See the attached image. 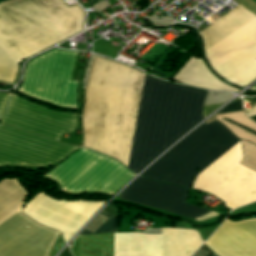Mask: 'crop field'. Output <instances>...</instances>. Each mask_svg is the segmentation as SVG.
<instances>
[{"label":"crop field","instance_id":"obj_1","mask_svg":"<svg viewBox=\"0 0 256 256\" xmlns=\"http://www.w3.org/2000/svg\"><path fill=\"white\" fill-rule=\"evenodd\" d=\"M143 74L94 57L82 114L85 147L126 164ZM208 92L144 74L126 167L137 173L204 119Z\"/></svg>","mask_w":256,"mask_h":256},{"label":"crop field","instance_id":"obj_2","mask_svg":"<svg viewBox=\"0 0 256 256\" xmlns=\"http://www.w3.org/2000/svg\"><path fill=\"white\" fill-rule=\"evenodd\" d=\"M236 139L218 121L202 124L141 176L189 188ZM241 160L237 139L192 187L217 196L230 210L255 202L256 172Z\"/></svg>","mask_w":256,"mask_h":256},{"label":"crop field","instance_id":"obj_3","mask_svg":"<svg viewBox=\"0 0 256 256\" xmlns=\"http://www.w3.org/2000/svg\"><path fill=\"white\" fill-rule=\"evenodd\" d=\"M84 12L64 0L0 3V82L14 83L20 61L82 30Z\"/></svg>","mask_w":256,"mask_h":256},{"label":"crop field","instance_id":"obj_4","mask_svg":"<svg viewBox=\"0 0 256 256\" xmlns=\"http://www.w3.org/2000/svg\"><path fill=\"white\" fill-rule=\"evenodd\" d=\"M254 16L237 6L199 32L205 49L221 40ZM211 67L229 82L245 86L256 79V18L205 50Z\"/></svg>","mask_w":256,"mask_h":256},{"label":"crop field","instance_id":"obj_5","mask_svg":"<svg viewBox=\"0 0 256 256\" xmlns=\"http://www.w3.org/2000/svg\"><path fill=\"white\" fill-rule=\"evenodd\" d=\"M25 196L15 180L0 181V223L21 209ZM58 234L30 220L20 210L0 224V256H48Z\"/></svg>","mask_w":256,"mask_h":256},{"label":"crop field","instance_id":"obj_6","mask_svg":"<svg viewBox=\"0 0 256 256\" xmlns=\"http://www.w3.org/2000/svg\"><path fill=\"white\" fill-rule=\"evenodd\" d=\"M45 176L59 182L63 191L112 195L135 175L117 161L81 148Z\"/></svg>","mask_w":256,"mask_h":256},{"label":"crop field","instance_id":"obj_7","mask_svg":"<svg viewBox=\"0 0 256 256\" xmlns=\"http://www.w3.org/2000/svg\"><path fill=\"white\" fill-rule=\"evenodd\" d=\"M76 53L56 49L30 61L19 92L56 106L76 109L77 81L70 80Z\"/></svg>","mask_w":256,"mask_h":256},{"label":"crop field","instance_id":"obj_8","mask_svg":"<svg viewBox=\"0 0 256 256\" xmlns=\"http://www.w3.org/2000/svg\"><path fill=\"white\" fill-rule=\"evenodd\" d=\"M162 234H193V250H185V256H191L202 244L198 233L194 230L162 229ZM117 236L143 237V253H130L142 252V238L130 237L129 245H118V251L130 252H117ZM80 237H110V256H113V233L93 236H78L74 241V245L71 246V251L74 256H80ZM184 249H192V235H173V248H163V256H184ZM132 254H157V256H162V235L114 233V256ZM81 256L109 255H101V238H81Z\"/></svg>","mask_w":256,"mask_h":256},{"label":"crop field","instance_id":"obj_9","mask_svg":"<svg viewBox=\"0 0 256 256\" xmlns=\"http://www.w3.org/2000/svg\"><path fill=\"white\" fill-rule=\"evenodd\" d=\"M78 149L0 124V166L53 165Z\"/></svg>","mask_w":256,"mask_h":256},{"label":"crop field","instance_id":"obj_10","mask_svg":"<svg viewBox=\"0 0 256 256\" xmlns=\"http://www.w3.org/2000/svg\"><path fill=\"white\" fill-rule=\"evenodd\" d=\"M0 122L59 139L76 127V115L56 112L13 95Z\"/></svg>","mask_w":256,"mask_h":256},{"label":"crop field","instance_id":"obj_11","mask_svg":"<svg viewBox=\"0 0 256 256\" xmlns=\"http://www.w3.org/2000/svg\"><path fill=\"white\" fill-rule=\"evenodd\" d=\"M187 190L156 183L139 177L119 196L140 205L165 209L199 221L218 215L211 211L185 203Z\"/></svg>","mask_w":256,"mask_h":256},{"label":"crop field","instance_id":"obj_12","mask_svg":"<svg viewBox=\"0 0 256 256\" xmlns=\"http://www.w3.org/2000/svg\"><path fill=\"white\" fill-rule=\"evenodd\" d=\"M43 199L50 201L52 203H55L64 208H67L69 210H72L74 212H77V213L84 215L88 218L91 215H93L96 212V210L100 206H102V204L104 203V202H83V201H57L54 199H50L44 192L37 193L33 197V199L22 209V212H24L29 217L35 219L37 222H39L45 226L59 230L62 233V237L65 241H68L79 230V228L87 221L88 218L86 219V217H84V216H81L72 211H69L62 207L54 205V204L47 202ZM30 212L33 215H36L38 217H41L43 219H46V220L56 223L58 225H60L65 218L72 220L74 222H77L79 224H81L85 219L86 220L82 223V225L75 232H73V231L63 228L61 226H58L56 224H53L51 222H48L46 220H43L36 216H33V215L29 214Z\"/></svg>","mask_w":256,"mask_h":256},{"label":"crop field","instance_id":"obj_13","mask_svg":"<svg viewBox=\"0 0 256 256\" xmlns=\"http://www.w3.org/2000/svg\"><path fill=\"white\" fill-rule=\"evenodd\" d=\"M205 244L218 256H256V219L225 220Z\"/></svg>","mask_w":256,"mask_h":256},{"label":"crop field","instance_id":"obj_14","mask_svg":"<svg viewBox=\"0 0 256 256\" xmlns=\"http://www.w3.org/2000/svg\"><path fill=\"white\" fill-rule=\"evenodd\" d=\"M174 79L191 86L214 90L238 91L213 76L201 60L194 59L193 57L180 69Z\"/></svg>","mask_w":256,"mask_h":256},{"label":"crop field","instance_id":"obj_15","mask_svg":"<svg viewBox=\"0 0 256 256\" xmlns=\"http://www.w3.org/2000/svg\"><path fill=\"white\" fill-rule=\"evenodd\" d=\"M108 217L106 219V217ZM91 223L93 224L89 230L94 231L105 219V221L94 231H89L84 229L80 234H101V233H109V232H116L117 228V217H114L112 215L106 214L104 212L100 213Z\"/></svg>","mask_w":256,"mask_h":256},{"label":"crop field","instance_id":"obj_16","mask_svg":"<svg viewBox=\"0 0 256 256\" xmlns=\"http://www.w3.org/2000/svg\"><path fill=\"white\" fill-rule=\"evenodd\" d=\"M242 109V101H232L227 106H225L222 110H220L216 114L220 113H228V112H235V111H241Z\"/></svg>","mask_w":256,"mask_h":256},{"label":"crop field","instance_id":"obj_17","mask_svg":"<svg viewBox=\"0 0 256 256\" xmlns=\"http://www.w3.org/2000/svg\"><path fill=\"white\" fill-rule=\"evenodd\" d=\"M10 96H11V94H0V117L2 116V114L4 112V109L6 107V104L9 100Z\"/></svg>","mask_w":256,"mask_h":256},{"label":"crop field","instance_id":"obj_18","mask_svg":"<svg viewBox=\"0 0 256 256\" xmlns=\"http://www.w3.org/2000/svg\"><path fill=\"white\" fill-rule=\"evenodd\" d=\"M57 244H60V245L63 246V240H62V238H61L60 235L58 236L57 240L55 241V243H54V245H53V247H52V249H51V251H50V255H49V256H54V254L62 247V246L60 247V246L57 245ZM56 245H57L58 247H60L57 251L53 249Z\"/></svg>","mask_w":256,"mask_h":256},{"label":"crop field","instance_id":"obj_19","mask_svg":"<svg viewBox=\"0 0 256 256\" xmlns=\"http://www.w3.org/2000/svg\"><path fill=\"white\" fill-rule=\"evenodd\" d=\"M201 249H203L209 253L207 254V252L204 251L200 256H205L206 254H207L206 256H215V255H213L214 253L212 254L204 245L193 256H195Z\"/></svg>","mask_w":256,"mask_h":256},{"label":"crop field","instance_id":"obj_20","mask_svg":"<svg viewBox=\"0 0 256 256\" xmlns=\"http://www.w3.org/2000/svg\"><path fill=\"white\" fill-rule=\"evenodd\" d=\"M248 114L249 117L253 116L256 114V105L251 108L249 111L246 112Z\"/></svg>","mask_w":256,"mask_h":256},{"label":"crop field","instance_id":"obj_21","mask_svg":"<svg viewBox=\"0 0 256 256\" xmlns=\"http://www.w3.org/2000/svg\"><path fill=\"white\" fill-rule=\"evenodd\" d=\"M59 256H71L69 252V247H66L64 251Z\"/></svg>","mask_w":256,"mask_h":256},{"label":"crop field","instance_id":"obj_22","mask_svg":"<svg viewBox=\"0 0 256 256\" xmlns=\"http://www.w3.org/2000/svg\"><path fill=\"white\" fill-rule=\"evenodd\" d=\"M225 120H227V121H229V122H231V123H234V122H232V121H230V120H228V119H225ZM234 124H236V123H234ZM236 125H238V124H236ZM238 126H240V127L244 128V129H246V130H248V131H250V132H252V133L256 134V132L251 131V130H249V129H247V128H245V127L241 126V125H238Z\"/></svg>","mask_w":256,"mask_h":256},{"label":"crop field","instance_id":"obj_23","mask_svg":"<svg viewBox=\"0 0 256 256\" xmlns=\"http://www.w3.org/2000/svg\"><path fill=\"white\" fill-rule=\"evenodd\" d=\"M251 119H252V120H254V121L256 122V116L251 117Z\"/></svg>","mask_w":256,"mask_h":256},{"label":"crop field","instance_id":"obj_24","mask_svg":"<svg viewBox=\"0 0 256 256\" xmlns=\"http://www.w3.org/2000/svg\"><path fill=\"white\" fill-rule=\"evenodd\" d=\"M251 89H252V90H256V85H254Z\"/></svg>","mask_w":256,"mask_h":256}]
</instances>
